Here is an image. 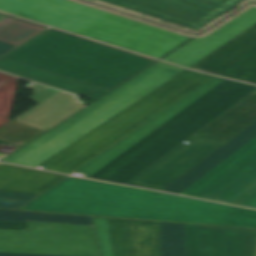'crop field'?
<instances>
[{
  "label": "crop field",
  "mask_w": 256,
  "mask_h": 256,
  "mask_svg": "<svg viewBox=\"0 0 256 256\" xmlns=\"http://www.w3.org/2000/svg\"><path fill=\"white\" fill-rule=\"evenodd\" d=\"M19 210L256 228V210L71 176Z\"/></svg>",
  "instance_id": "1"
},
{
  "label": "crop field",
  "mask_w": 256,
  "mask_h": 256,
  "mask_svg": "<svg viewBox=\"0 0 256 256\" xmlns=\"http://www.w3.org/2000/svg\"><path fill=\"white\" fill-rule=\"evenodd\" d=\"M255 89L214 77L76 172L124 184Z\"/></svg>",
  "instance_id": "2"
},
{
  "label": "crop field",
  "mask_w": 256,
  "mask_h": 256,
  "mask_svg": "<svg viewBox=\"0 0 256 256\" xmlns=\"http://www.w3.org/2000/svg\"><path fill=\"white\" fill-rule=\"evenodd\" d=\"M0 10L158 59L191 38L68 0H0Z\"/></svg>",
  "instance_id": "3"
},
{
  "label": "crop field",
  "mask_w": 256,
  "mask_h": 256,
  "mask_svg": "<svg viewBox=\"0 0 256 256\" xmlns=\"http://www.w3.org/2000/svg\"><path fill=\"white\" fill-rule=\"evenodd\" d=\"M0 56L108 90L155 62L47 29L18 47L0 42Z\"/></svg>",
  "instance_id": "4"
},
{
  "label": "crop field",
  "mask_w": 256,
  "mask_h": 256,
  "mask_svg": "<svg viewBox=\"0 0 256 256\" xmlns=\"http://www.w3.org/2000/svg\"><path fill=\"white\" fill-rule=\"evenodd\" d=\"M213 76L184 70L40 166L71 174Z\"/></svg>",
  "instance_id": "5"
},
{
  "label": "crop field",
  "mask_w": 256,
  "mask_h": 256,
  "mask_svg": "<svg viewBox=\"0 0 256 256\" xmlns=\"http://www.w3.org/2000/svg\"><path fill=\"white\" fill-rule=\"evenodd\" d=\"M182 70L156 63L2 162L35 168Z\"/></svg>",
  "instance_id": "6"
},
{
  "label": "crop field",
  "mask_w": 256,
  "mask_h": 256,
  "mask_svg": "<svg viewBox=\"0 0 256 256\" xmlns=\"http://www.w3.org/2000/svg\"><path fill=\"white\" fill-rule=\"evenodd\" d=\"M0 251L99 256L92 226L34 221L27 231L0 230Z\"/></svg>",
  "instance_id": "7"
},
{
  "label": "crop field",
  "mask_w": 256,
  "mask_h": 256,
  "mask_svg": "<svg viewBox=\"0 0 256 256\" xmlns=\"http://www.w3.org/2000/svg\"><path fill=\"white\" fill-rule=\"evenodd\" d=\"M190 29H200L243 0H100Z\"/></svg>",
  "instance_id": "8"
},
{
  "label": "crop field",
  "mask_w": 256,
  "mask_h": 256,
  "mask_svg": "<svg viewBox=\"0 0 256 256\" xmlns=\"http://www.w3.org/2000/svg\"><path fill=\"white\" fill-rule=\"evenodd\" d=\"M155 163L143 170L126 185L162 191L184 173L219 148L223 143L193 135Z\"/></svg>",
  "instance_id": "9"
},
{
  "label": "crop field",
  "mask_w": 256,
  "mask_h": 256,
  "mask_svg": "<svg viewBox=\"0 0 256 256\" xmlns=\"http://www.w3.org/2000/svg\"><path fill=\"white\" fill-rule=\"evenodd\" d=\"M189 68L256 84V24Z\"/></svg>",
  "instance_id": "10"
},
{
  "label": "crop field",
  "mask_w": 256,
  "mask_h": 256,
  "mask_svg": "<svg viewBox=\"0 0 256 256\" xmlns=\"http://www.w3.org/2000/svg\"><path fill=\"white\" fill-rule=\"evenodd\" d=\"M188 256H255L256 230L186 224ZM211 248L212 251H205Z\"/></svg>",
  "instance_id": "11"
},
{
  "label": "crop field",
  "mask_w": 256,
  "mask_h": 256,
  "mask_svg": "<svg viewBox=\"0 0 256 256\" xmlns=\"http://www.w3.org/2000/svg\"><path fill=\"white\" fill-rule=\"evenodd\" d=\"M107 220L114 256H161L158 222Z\"/></svg>",
  "instance_id": "12"
},
{
  "label": "crop field",
  "mask_w": 256,
  "mask_h": 256,
  "mask_svg": "<svg viewBox=\"0 0 256 256\" xmlns=\"http://www.w3.org/2000/svg\"><path fill=\"white\" fill-rule=\"evenodd\" d=\"M26 87L35 90L32 92L35 94L28 98L39 104L14 121L47 131L84 107L76 101L73 94L45 87L34 82Z\"/></svg>",
  "instance_id": "13"
},
{
  "label": "crop field",
  "mask_w": 256,
  "mask_h": 256,
  "mask_svg": "<svg viewBox=\"0 0 256 256\" xmlns=\"http://www.w3.org/2000/svg\"><path fill=\"white\" fill-rule=\"evenodd\" d=\"M256 23V7H252L206 38H196L163 60L188 67L249 26Z\"/></svg>",
  "instance_id": "14"
},
{
  "label": "crop field",
  "mask_w": 256,
  "mask_h": 256,
  "mask_svg": "<svg viewBox=\"0 0 256 256\" xmlns=\"http://www.w3.org/2000/svg\"><path fill=\"white\" fill-rule=\"evenodd\" d=\"M200 198L245 206L256 198V156Z\"/></svg>",
  "instance_id": "15"
},
{
  "label": "crop field",
  "mask_w": 256,
  "mask_h": 256,
  "mask_svg": "<svg viewBox=\"0 0 256 256\" xmlns=\"http://www.w3.org/2000/svg\"><path fill=\"white\" fill-rule=\"evenodd\" d=\"M256 120V91L219 116L195 135L227 142Z\"/></svg>",
  "instance_id": "16"
},
{
  "label": "crop field",
  "mask_w": 256,
  "mask_h": 256,
  "mask_svg": "<svg viewBox=\"0 0 256 256\" xmlns=\"http://www.w3.org/2000/svg\"><path fill=\"white\" fill-rule=\"evenodd\" d=\"M65 177L0 163V191L40 195Z\"/></svg>",
  "instance_id": "17"
},
{
  "label": "crop field",
  "mask_w": 256,
  "mask_h": 256,
  "mask_svg": "<svg viewBox=\"0 0 256 256\" xmlns=\"http://www.w3.org/2000/svg\"><path fill=\"white\" fill-rule=\"evenodd\" d=\"M256 137V121L167 187L164 192L180 194Z\"/></svg>",
  "instance_id": "18"
},
{
  "label": "crop field",
  "mask_w": 256,
  "mask_h": 256,
  "mask_svg": "<svg viewBox=\"0 0 256 256\" xmlns=\"http://www.w3.org/2000/svg\"><path fill=\"white\" fill-rule=\"evenodd\" d=\"M0 70L26 77L32 80H36L42 83H46L71 92H75L82 96L92 98L94 100L98 99L99 97L108 92V90L82 83L3 57H0Z\"/></svg>",
  "instance_id": "19"
},
{
  "label": "crop field",
  "mask_w": 256,
  "mask_h": 256,
  "mask_svg": "<svg viewBox=\"0 0 256 256\" xmlns=\"http://www.w3.org/2000/svg\"><path fill=\"white\" fill-rule=\"evenodd\" d=\"M256 155V138L224 161L190 188L182 193V195L198 197L234 170L239 168L245 162Z\"/></svg>",
  "instance_id": "20"
},
{
  "label": "crop field",
  "mask_w": 256,
  "mask_h": 256,
  "mask_svg": "<svg viewBox=\"0 0 256 256\" xmlns=\"http://www.w3.org/2000/svg\"><path fill=\"white\" fill-rule=\"evenodd\" d=\"M27 220L92 225L91 217L0 210V229L26 230Z\"/></svg>",
  "instance_id": "21"
},
{
  "label": "crop field",
  "mask_w": 256,
  "mask_h": 256,
  "mask_svg": "<svg viewBox=\"0 0 256 256\" xmlns=\"http://www.w3.org/2000/svg\"><path fill=\"white\" fill-rule=\"evenodd\" d=\"M162 256H187L185 224L159 222Z\"/></svg>",
  "instance_id": "22"
},
{
  "label": "crop field",
  "mask_w": 256,
  "mask_h": 256,
  "mask_svg": "<svg viewBox=\"0 0 256 256\" xmlns=\"http://www.w3.org/2000/svg\"><path fill=\"white\" fill-rule=\"evenodd\" d=\"M43 29L45 27L10 17L0 24V41L18 46Z\"/></svg>",
  "instance_id": "23"
},
{
  "label": "crop field",
  "mask_w": 256,
  "mask_h": 256,
  "mask_svg": "<svg viewBox=\"0 0 256 256\" xmlns=\"http://www.w3.org/2000/svg\"><path fill=\"white\" fill-rule=\"evenodd\" d=\"M44 132L12 121L0 129V140L21 147ZM19 141L23 143L17 145L16 143Z\"/></svg>",
  "instance_id": "24"
},
{
  "label": "crop field",
  "mask_w": 256,
  "mask_h": 256,
  "mask_svg": "<svg viewBox=\"0 0 256 256\" xmlns=\"http://www.w3.org/2000/svg\"><path fill=\"white\" fill-rule=\"evenodd\" d=\"M37 196L0 192V209L17 210Z\"/></svg>",
  "instance_id": "25"
},
{
  "label": "crop field",
  "mask_w": 256,
  "mask_h": 256,
  "mask_svg": "<svg viewBox=\"0 0 256 256\" xmlns=\"http://www.w3.org/2000/svg\"><path fill=\"white\" fill-rule=\"evenodd\" d=\"M103 256H113L106 218L94 217Z\"/></svg>",
  "instance_id": "26"
},
{
  "label": "crop field",
  "mask_w": 256,
  "mask_h": 256,
  "mask_svg": "<svg viewBox=\"0 0 256 256\" xmlns=\"http://www.w3.org/2000/svg\"><path fill=\"white\" fill-rule=\"evenodd\" d=\"M89 1H92V0H89ZM92 2H96V3L102 4V5H106V6H109V7L115 8V9H119V10H122V11H125V12H129V13H132V14H135V15H139V16H142V17L154 20V21H158V22L161 21L160 19H156V18H153V17H150V16H146V15H143V14H140V13L129 11V10H126V9H123V8H119V7H116V6H113V5H109V4H106V3H103V2H99V1H96V0L92 1ZM246 3H247L246 1L242 2L241 4L237 5L238 7L235 8L234 10H232V11L229 10L230 11L229 13H227V12H226L227 14L224 13L223 15L219 16L218 18H216L212 22H210L207 25H205L204 27H202L200 30H190L188 28H185L183 26L176 25V24H173V23H170V22H168L167 25H170V26H173V27H176V28H180V29H183V30H186V31H189V32H198V33H200L201 31H203V30L207 29L208 27L214 25L215 23H217L218 21H220L221 19H223L224 17H226L230 13L234 12L235 10H237L238 8H240L241 6H243Z\"/></svg>",
  "instance_id": "27"
},
{
  "label": "crop field",
  "mask_w": 256,
  "mask_h": 256,
  "mask_svg": "<svg viewBox=\"0 0 256 256\" xmlns=\"http://www.w3.org/2000/svg\"><path fill=\"white\" fill-rule=\"evenodd\" d=\"M0 256H55V255H37V254H19V253H1Z\"/></svg>",
  "instance_id": "28"
},
{
  "label": "crop field",
  "mask_w": 256,
  "mask_h": 256,
  "mask_svg": "<svg viewBox=\"0 0 256 256\" xmlns=\"http://www.w3.org/2000/svg\"><path fill=\"white\" fill-rule=\"evenodd\" d=\"M247 207L256 208V199L254 201H252L250 204H248Z\"/></svg>",
  "instance_id": "29"
},
{
  "label": "crop field",
  "mask_w": 256,
  "mask_h": 256,
  "mask_svg": "<svg viewBox=\"0 0 256 256\" xmlns=\"http://www.w3.org/2000/svg\"><path fill=\"white\" fill-rule=\"evenodd\" d=\"M8 17H5V16H2V15H0V23L2 22V21H4L5 19H7Z\"/></svg>",
  "instance_id": "30"
},
{
  "label": "crop field",
  "mask_w": 256,
  "mask_h": 256,
  "mask_svg": "<svg viewBox=\"0 0 256 256\" xmlns=\"http://www.w3.org/2000/svg\"><path fill=\"white\" fill-rule=\"evenodd\" d=\"M6 154H2V153H0V157H3V156H5Z\"/></svg>",
  "instance_id": "31"
},
{
  "label": "crop field",
  "mask_w": 256,
  "mask_h": 256,
  "mask_svg": "<svg viewBox=\"0 0 256 256\" xmlns=\"http://www.w3.org/2000/svg\"><path fill=\"white\" fill-rule=\"evenodd\" d=\"M246 1H256V0H246Z\"/></svg>",
  "instance_id": "32"
}]
</instances>
